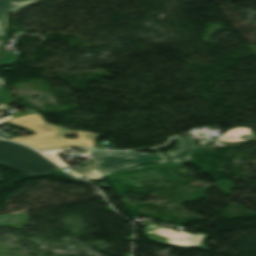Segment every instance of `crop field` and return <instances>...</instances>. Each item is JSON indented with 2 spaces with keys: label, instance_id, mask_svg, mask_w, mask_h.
I'll list each match as a JSON object with an SVG mask.
<instances>
[{
  "label": "crop field",
  "instance_id": "obj_2",
  "mask_svg": "<svg viewBox=\"0 0 256 256\" xmlns=\"http://www.w3.org/2000/svg\"><path fill=\"white\" fill-rule=\"evenodd\" d=\"M0 163L27 170V174L54 173L58 168L33 149L14 142L0 140Z\"/></svg>",
  "mask_w": 256,
  "mask_h": 256
},
{
  "label": "crop field",
  "instance_id": "obj_9",
  "mask_svg": "<svg viewBox=\"0 0 256 256\" xmlns=\"http://www.w3.org/2000/svg\"><path fill=\"white\" fill-rule=\"evenodd\" d=\"M0 137H3V138H8V137H13V135L1 130L0 131Z\"/></svg>",
  "mask_w": 256,
  "mask_h": 256
},
{
  "label": "crop field",
  "instance_id": "obj_4",
  "mask_svg": "<svg viewBox=\"0 0 256 256\" xmlns=\"http://www.w3.org/2000/svg\"><path fill=\"white\" fill-rule=\"evenodd\" d=\"M175 139L178 141L176 144V150L166 152L167 155L171 158L173 163L187 161L190 153L197 149L196 146L189 136Z\"/></svg>",
  "mask_w": 256,
  "mask_h": 256
},
{
  "label": "crop field",
  "instance_id": "obj_11",
  "mask_svg": "<svg viewBox=\"0 0 256 256\" xmlns=\"http://www.w3.org/2000/svg\"><path fill=\"white\" fill-rule=\"evenodd\" d=\"M1 86H4V83H3V81L1 80V78H0V87Z\"/></svg>",
  "mask_w": 256,
  "mask_h": 256
},
{
  "label": "crop field",
  "instance_id": "obj_7",
  "mask_svg": "<svg viewBox=\"0 0 256 256\" xmlns=\"http://www.w3.org/2000/svg\"><path fill=\"white\" fill-rule=\"evenodd\" d=\"M7 38H8V36L5 37L3 48H2V51H1V54H0V67L1 66L12 65V64H14V62L18 58L17 55H14V54L9 53V52L4 50Z\"/></svg>",
  "mask_w": 256,
  "mask_h": 256
},
{
  "label": "crop field",
  "instance_id": "obj_6",
  "mask_svg": "<svg viewBox=\"0 0 256 256\" xmlns=\"http://www.w3.org/2000/svg\"><path fill=\"white\" fill-rule=\"evenodd\" d=\"M71 174H74L78 177H88L90 179H96L99 177L105 176L104 173L101 171L99 166H91V167H84L75 172L74 170L69 172Z\"/></svg>",
  "mask_w": 256,
  "mask_h": 256
},
{
  "label": "crop field",
  "instance_id": "obj_1",
  "mask_svg": "<svg viewBox=\"0 0 256 256\" xmlns=\"http://www.w3.org/2000/svg\"><path fill=\"white\" fill-rule=\"evenodd\" d=\"M8 122L23 126L35 134L10 138V140L23 142L36 149H53L68 146H93V139L98 136L87 131H70L63 127L50 125L42 120L38 113L11 119ZM73 132L78 138H64L65 133Z\"/></svg>",
  "mask_w": 256,
  "mask_h": 256
},
{
  "label": "crop field",
  "instance_id": "obj_14",
  "mask_svg": "<svg viewBox=\"0 0 256 256\" xmlns=\"http://www.w3.org/2000/svg\"><path fill=\"white\" fill-rule=\"evenodd\" d=\"M0 180H2L1 177H0Z\"/></svg>",
  "mask_w": 256,
  "mask_h": 256
},
{
  "label": "crop field",
  "instance_id": "obj_3",
  "mask_svg": "<svg viewBox=\"0 0 256 256\" xmlns=\"http://www.w3.org/2000/svg\"><path fill=\"white\" fill-rule=\"evenodd\" d=\"M98 162L105 175L121 168H127L143 162H165V158L160 153L147 154L135 153L133 151H99L89 149Z\"/></svg>",
  "mask_w": 256,
  "mask_h": 256
},
{
  "label": "crop field",
  "instance_id": "obj_10",
  "mask_svg": "<svg viewBox=\"0 0 256 256\" xmlns=\"http://www.w3.org/2000/svg\"><path fill=\"white\" fill-rule=\"evenodd\" d=\"M12 125H13V126H15V127L21 128V129H23V130L29 131V130H27V129L23 128V127L16 126V125H14V124H12ZM29 132H31V131H29ZM31 133H32V132H31Z\"/></svg>",
  "mask_w": 256,
  "mask_h": 256
},
{
  "label": "crop field",
  "instance_id": "obj_8",
  "mask_svg": "<svg viewBox=\"0 0 256 256\" xmlns=\"http://www.w3.org/2000/svg\"><path fill=\"white\" fill-rule=\"evenodd\" d=\"M7 16L8 14L0 15V34H4L5 29L8 28Z\"/></svg>",
  "mask_w": 256,
  "mask_h": 256
},
{
  "label": "crop field",
  "instance_id": "obj_13",
  "mask_svg": "<svg viewBox=\"0 0 256 256\" xmlns=\"http://www.w3.org/2000/svg\"><path fill=\"white\" fill-rule=\"evenodd\" d=\"M1 42H2V40H0V46H1Z\"/></svg>",
  "mask_w": 256,
  "mask_h": 256
},
{
  "label": "crop field",
  "instance_id": "obj_12",
  "mask_svg": "<svg viewBox=\"0 0 256 256\" xmlns=\"http://www.w3.org/2000/svg\"><path fill=\"white\" fill-rule=\"evenodd\" d=\"M5 124H8V123H7V122H4V123L0 124V126H3V125H5Z\"/></svg>",
  "mask_w": 256,
  "mask_h": 256
},
{
  "label": "crop field",
  "instance_id": "obj_5",
  "mask_svg": "<svg viewBox=\"0 0 256 256\" xmlns=\"http://www.w3.org/2000/svg\"><path fill=\"white\" fill-rule=\"evenodd\" d=\"M36 0H0V14L20 9Z\"/></svg>",
  "mask_w": 256,
  "mask_h": 256
}]
</instances>
